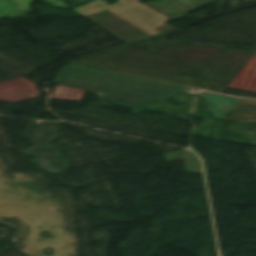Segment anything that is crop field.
<instances>
[{"mask_svg":"<svg viewBox=\"0 0 256 256\" xmlns=\"http://www.w3.org/2000/svg\"><path fill=\"white\" fill-rule=\"evenodd\" d=\"M109 11L115 13L116 15L122 17L153 36L161 34L153 28L168 21V19L161 14L142 4L110 9Z\"/></svg>","mask_w":256,"mask_h":256,"instance_id":"crop-field-1","label":"crop field"},{"mask_svg":"<svg viewBox=\"0 0 256 256\" xmlns=\"http://www.w3.org/2000/svg\"><path fill=\"white\" fill-rule=\"evenodd\" d=\"M109 5H105L102 1L97 0L89 5L76 9V11L82 13L83 15L91 14L97 11L110 9Z\"/></svg>","mask_w":256,"mask_h":256,"instance_id":"crop-field-2","label":"crop field"},{"mask_svg":"<svg viewBox=\"0 0 256 256\" xmlns=\"http://www.w3.org/2000/svg\"><path fill=\"white\" fill-rule=\"evenodd\" d=\"M140 2L138 0H119L118 3L111 6L112 8L115 7H121V6H127V5H133V4H139Z\"/></svg>","mask_w":256,"mask_h":256,"instance_id":"crop-field-3","label":"crop field"}]
</instances>
